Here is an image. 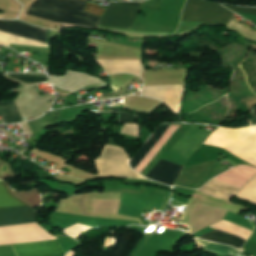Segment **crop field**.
<instances>
[{
    "instance_id": "8a807250",
    "label": "crop field",
    "mask_w": 256,
    "mask_h": 256,
    "mask_svg": "<svg viewBox=\"0 0 256 256\" xmlns=\"http://www.w3.org/2000/svg\"><path fill=\"white\" fill-rule=\"evenodd\" d=\"M87 0H35L27 14L58 23L97 27L100 17L83 12Z\"/></svg>"
},
{
    "instance_id": "ac0d7876",
    "label": "crop field",
    "mask_w": 256,
    "mask_h": 256,
    "mask_svg": "<svg viewBox=\"0 0 256 256\" xmlns=\"http://www.w3.org/2000/svg\"><path fill=\"white\" fill-rule=\"evenodd\" d=\"M233 14L218 3L187 0L181 21L228 24Z\"/></svg>"
},
{
    "instance_id": "34b2d1b8",
    "label": "crop field",
    "mask_w": 256,
    "mask_h": 256,
    "mask_svg": "<svg viewBox=\"0 0 256 256\" xmlns=\"http://www.w3.org/2000/svg\"><path fill=\"white\" fill-rule=\"evenodd\" d=\"M0 31L7 32L13 35L44 41L46 42L47 30L38 29L33 26L23 24L17 21H1ZM0 32V44L9 46L8 43L44 46L48 47L47 43L29 40L17 36H13L7 33Z\"/></svg>"
},
{
    "instance_id": "412701ff",
    "label": "crop field",
    "mask_w": 256,
    "mask_h": 256,
    "mask_svg": "<svg viewBox=\"0 0 256 256\" xmlns=\"http://www.w3.org/2000/svg\"><path fill=\"white\" fill-rule=\"evenodd\" d=\"M140 7L139 2L111 3L99 25L131 29Z\"/></svg>"
},
{
    "instance_id": "f4fd0767",
    "label": "crop field",
    "mask_w": 256,
    "mask_h": 256,
    "mask_svg": "<svg viewBox=\"0 0 256 256\" xmlns=\"http://www.w3.org/2000/svg\"><path fill=\"white\" fill-rule=\"evenodd\" d=\"M17 256H64L58 241L12 245Z\"/></svg>"
},
{
    "instance_id": "dd49c442",
    "label": "crop field",
    "mask_w": 256,
    "mask_h": 256,
    "mask_svg": "<svg viewBox=\"0 0 256 256\" xmlns=\"http://www.w3.org/2000/svg\"><path fill=\"white\" fill-rule=\"evenodd\" d=\"M32 222H36L35 214L29 206L0 209V226Z\"/></svg>"
},
{
    "instance_id": "e52e79f7",
    "label": "crop field",
    "mask_w": 256,
    "mask_h": 256,
    "mask_svg": "<svg viewBox=\"0 0 256 256\" xmlns=\"http://www.w3.org/2000/svg\"><path fill=\"white\" fill-rule=\"evenodd\" d=\"M181 169L182 166L161 160L146 177L173 186Z\"/></svg>"
},
{
    "instance_id": "d8731c3e",
    "label": "crop field",
    "mask_w": 256,
    "mask_h": 256,
    "mask_svg": "<svg viewBox=\"0 0 256 256\" xmlns=\"http://www.w3.org/2000/svg\"><path fill=\"white\" fill-rule=\"evenodd\" d=\"M170 125H161L151 136L148 142L140 149V151L131 160L130 165L132 168H136L137 165L144 159V157L149 153V151L154 147V145L159 141V139L168 130Z\"/></svg>"
},
{
    "instance_id": "5a996713",
    "label": "crop field",
    "mask_w": 256,
    "mask_h": 256,
    "mask_svg": "<svg viewBox=\"0 0 256 256\" xmlns=\"http://www.w3.org/2000/svg\"><path fill=\"white\" fill-rule=\"evenodd\" d=\"M0 116L5 123H16L23 121L15 101L0 102Z\"/></svg>"
},
{
    "instance_id": "3316defc",
    "label": "crop field",
    "mask_w": 256,
    "mask_h": 256,
    "mask_svg": "<svg viewBox=\"0 0 256 256\" xmlns=\"http://www.w3.org/2000/svg\"><path fill=\"white\" fill-rule=\"evenodd\" d=\"M199 238L214 241V242L229 244L238 249H240L242 247V245L244 244V242H242L234 237H231L219 230H215V231H213L209 234L203 235Z\"/></svg>"
},
{
    "instance_id": "28ad6ade",
    "label": "crop field",
    "mask_w": 256,
    "mask_h": 256,
    "mask_svg": "<svg viewBox=\"0 0 256 256\" xmlns=\"http://www.w3.org/2000/svg\"><path fill=\"white\" fill-rule=\"evenodd\" d=\"M26 205L20 199L9 192L4 181H0V208L16 207Z\"/></svg>"
},
{
    "instance_id": "d1516ede",
    "label": "crop field",
    "mask_w": 256,
    "mask_h": 256,
    "mask_svg": "<svg viewBox=\"0 0 256 256\" xmlns=\"http://www.w3.org/2000/svg\"><path fill=\"white\" fill-rule=\"evenodd\" d=\"M197 242L199 245L209 253L217 254V255H230L234 256L236 251L234 248L225 246V245H220V244H215V243H210V242H205L197 239Z\"/></svg>"
},
{
    "instance_id": "22f410ed",
    "label": "crop field",
    "mask_w": 256,
    "mask_h": 256,
    "mask_svg": "<svg viewBox=\"0 0 256 256\" xmlns=\"http://www.w3.org/2000/svg\"><path fill=\"white\" fill-rule=\"evenodd\" d=\"M8 77L25 84L49 81L47 76L39 73L7 74Z\"/></svg>"
},
{
    "instance_id": "cbeb9de0",
    "label": "crop field",
    "mask_w": 256,
    "mask_h": 256,
    "mask_svg": "<svg viewBox=\"0 0 256 256\" xmlns=\"http://www.w3.org/2000/svg\"><path fill=\"white\" fill-rule=\"evenodd\" d=\"M86 12H89L93 15L96 16H102L103 12L105 11V8L99 7L91 2H87L86 8H85Z\"/></svg>"
},
{
    "instance_id": "5142ce71",
    "label": "crop field",
    "mask_w": 256,
    "mask_h": 256,
    "mask_svg": "<svg viewBox=\"0 0 256 256\" xmlns=\"http://www.w3.org/2000/svg\"><path fill=\"white\" fill-rule=\"evenodd\" d=\"M115 113V112H106ZM119 121L122 123H136L135 115L119 112Z\"/></svg>"
},
{
    "instance_id": "d9b57169",
    "label": "crop field",
    "mask_w": 256,
    "mask_h": 256,
    "mask_svg": "<svg viewBox=\"0 0 256 256\" xmlns=\"http://www.w3.org/2000/svg\"><path fill=\"white\" fill-rule=\"evenodd\" d=\"M225 5V4H224ZM235 11L239 12H245V13H251V14H256V8H250V7H235V6H230V5H225Z\"/></svg>"
},
{
    "instance_id": "733c2abd",
    "label": "crop field",
    "mask_w": 256,
    "mask_h": 256,
    "mask_svg": "<svg viewBox=\"0 0 256 256\" xmlns=\"http://www.w3.org/2000/svg\"><path fill=\"white\" fill-rule=\"evenodd\" d=\"M250 113L252 114V116H253V118H254V120H255V122H256V107L253 108V109L250 111Z\"/></svg>"
},
{
    "instance_id": "4a817a6b",
    "label": "crop field",
    "mask_w": 256,
    "mask_h": 256,
    "mask_svg": "<svg viewBox=\"0 0 256 256\" xmlns=\"http://www.w3.org/2000/svg\"><path fill=\"white\" fill-rule=\"evenodd\" d=\"M0 18H2V14H0Z\"/></svg>"
}]
</instances>
